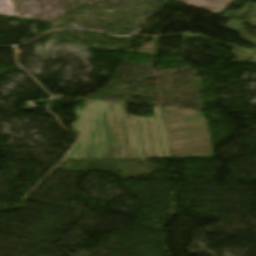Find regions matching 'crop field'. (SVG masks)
Wrapping results in <instances>:
<instances>
[{"instance_id": "crop-field-1", "label": "crop field", "mask_w": 256, "mask_h": 256, "mask_svg": "<svg viewBox=\"0 0 256 256\" xmlns=\"http://www.w3.org/2000/svg\"><path fill=\"white\" fill-rule=\"evenodd\" d=\"M161 109L141 118L124 115L122 104L85 101L71 123L82 138L67 159L170 158Z\"/></svg>"}, {"instance_id": "crop-field-3", "label": "crop field", "mask_w": 256, "mask_h": 256, "mask_svg": "<svg viewBox=\"0 0 256 256\" xmlns=\"http://www.w3.org/2000/svg\"><path fill=\"white\" fill-rule=\"evenodd\" d=\"M186 3L194 7H198L212 13L222 11L233 0H175Z\"/></svg>"}, {"instance_id": "crop-field-2", "label": "crop field", "mask_w": 256, "mask_h": 256, "mask_svg": "<svg viewBox=\"0 0 256 256\" xmlns=\"http://www.w3.org/2000/svg\"><path fill=\"white\" fill-rule=\"evenodd\" d=\"M162 119L171 158L214 157L200 110L163 106Z\"/></svg>"}]
</instances>
